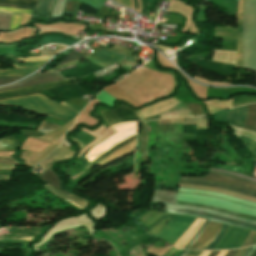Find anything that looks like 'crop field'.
Masks as SVG:
<instances>
[{"label":"crop field","mask_w":256,"mask_h":256,"mask_svg":"<svg viewBox=\"0 0 256 256\" xmlns=\"http://www.w3.org/2000/svg\"><path fill=\"white\" fill-rule=\"evenodd\" d=\"M165 212L210 219L231 226L256 231L255 217L238 214L207 205L176 201V205L166 204Z\"/></svg>","instance_id":"obj_1"},{"label":"crop field","mask_w":256,"mask_h":256,"mask_svg":"<svg viewBox=\"0 0 256 256\" xmlns=\"http://www.w3.org/2000/svg\"><path fill=\"white\" fill-rule=\"evenodd\" d=\"M0 104H13L24 106L44 113L48 116L64 120L66 122L73 118L75 115H77L69 109L57 105L58 103L56 104L39 94L0 100Z\"/></svg>","instance_id":"obj_2"},{"label":"crop field","mask_w":256,"mask_h":256,"mask_svg":"<svg viewBox=\"0 0 256 256\" xmlns=\"http://www.w3.org/2000/svg\"><path fill=\"white\" fill-rule=\"evenodd\" d=\"M172 215L167 214L157 225L148 231L152 236L160 229L166 219H170ZM194 217L184 215H173L171 220L166 223L154 236L162 238L171 245L179 238V236L192 224Z\"/></svg>","instance_id":"obj_3"},{"label":"crop field","mask_w":256,"mask_h":256,"mask_svg":"<svg viewBox=\"0 0 256 256\" xmlns=\"http://www.w3.org/2000/svg\"><path fill=\"white\" fill-rule=\"evenodd\" d=\"M176 200L208 204L215 207H219V208H223V209H227V210H231V211L256 217V208L243 206L240 204H236V203L229 202V201L222 200L215 197L191 195V194H184V193L178 192Z\"/></svg>","instance_id":"obj_4"},{"label":"crop field","mask_w":256,"mask_h":256,"mask_svg":"<svg viewBox=\"0 0 256 256\" xmlns=\"http://www.w3.org/2000/svg\"><path fill=\"white\" fill-rule=\"evenodd\" d=\"M183 179L199 180V181H213L218 183H223L227 185L236 186L239 188L247 189L256 192V183L236 179L233 177L216 174L209 172L205 177H192V176H181Z\"/></svg>","instance_id":"obj_5"},{"label":"crop field","mask_w":256,"mask_h":256,"mask_svg":"<svg viewBox=\"0 0 256 256\" xmlns=\"http://www.w3.org/2000/svg\"><path fill=\"white\" fill-rule=\"evenodd\" d=\"M101 114L108 125L125 121L140 120L135 111L130 110L124 104L115 110L103 111Z\"/></svg>","instance_id":"obj_6"},{"label":"crop field","mask_w":256,"mask_h":256,"mask_svg":"<svg viewBox=\"0 0 256 256\" xmlns=\"http://www.w3.org/2000/svg\"><path fill=\"white\" fill-rule=\"evenodd\" d=\"M73 84H76L75 79L67 80V81H57V82H53V83H49V84L24 87V88H19V89H14V90H8V91L0 92V98L7 97V96H17V95H21V94L33 93V92L50 89L53 87L73 85Z\"/></svg>","instance_id":"obj_7"},{"label":"crop field","mask_w":256,"mask_h":256,"mask_svg":"<svg viewBox=\"0 0 256 256\" xmlns=\"http://www.w3.org/2000/svg\"><path fill=\"white\" fill-rule=\"evenodd\" d=\"M57 80H63L62 77L58 75V73H40V74H34L30 76L29 78L13 85L1 87L0 90L5 89H11V88H18V87H24V86H30L45 82H51V81H57Z\"/></svg>","instance_id":"obj_8"},{"label":"crop field","mask_w":256,"mask_h":256,"mask_svg":"<svg viewBox=\"0 0 256 256\" xmlns=\"http://www.w3.org/2000/svg\"><path fill=\"white\" fill-rule=\"evenodd\" d=\"M220 226V223L209 221V223L204 228L202 233L198 236V238L191 244V246L188 249H205V247L217 233Z\"/></svg>","instance_id":"obj_9"},{"label":"crop field","mask_w":256,"mask_h":256,"mask_svg":"<svg viewBox=\"0 0 256 256\" xmlns=\"http://www.w3.org/2000/svg\"><path fill=\"white\" fill-rule=\"evenodd\" d=\"M178 102H180V101L177 100L176 98H171V99L156 103L152 106L143 108L141 110H137L136 113L138 114L140 119L150 117V116L157 115V114H160V113L168 110L169 108H171L173 105L177 104Z\"/></svg>","instance_id":"obj_10"},{"label":"crop field","mask_w":256,"mask_h":256,"mask_svg":"<svg viewBox=\"0 0 256 256\" xmlns=\"http://www.w3.org/2000/svg\"><path fill=\"white\" fill-rule=\"evenodd\" d=\"M96 57H100L104 60L111 61L114 63L120 62V61L124 60L125 58H127V56H124L122 54L104 51V50L98 51V52L90 55L89 57H87L90 62L100 65V66H103V67L111 65V63L102 61Z\"/></svg>","instance_id":"obj_11"},{"label":"crop field","mask_w":256,"mask_h":256,"mask_svg":"<svg viewBox=\"0 0 256 256\" xmlns=\"http://www.w3.org/2000/svg\"><path fill=\"white\" fill-rule=\"evenodd\" d=\"M204 219L196 218L193 224L181 235V237L175 242L174 247L183 249L193 235L198 231L201 225L204 223Z\"/></svg>","instance_id":"obj_12"},{"label":"crop field","mask_w":256,"mask_h":256,"mask_svg":"<svg viewBox=\"0 0 256 256\" xmlns=\"http://www.w3.org/2000/svg\"><path fill=\"white\" fill-rule=\"evenodd\" d=\"M242 229L229 226L226 233L214 249H230L241 233Z\"/></svg>","instance_id":"obj_13"},{"label":"crop field","mask_w":256,"mask_h":256,"mask_svg":"<svg viewBox=\"0 0 256 256\" xmlns=\"http://www.w3.org/2000/svg\"><path fill=\"white\" fill-rule=\"evenodd\" d=\"M246 111L247 105L229 109V114L225 122L242 128Z\"/></svg>","instance_id":"obj_14"},{"label":"crop field","mask_w":256,"mask_h":256,"mask_svg":"<svg viewBox=\"0 0 256 256\" xmlns=\"http://www.w3.org/2000/svg\"><path fill=\"white\" fill-rule=\"evenodd\" d=\"M45 187L47 190H49L50 192H52L54 195H56L57 197L59 198H62V199H65L66 201L70 202L71 204H73L74 206L80 208V209H83L84 207H86V203L87 201L79 198V197H76V196H73V195H65L61 192H59L58 190H56L55 188L51 187L50 185H45L43 186Z\"/></svg>","instance_id":"obj_15"},{"label":"crop field","mask_w":256,"mask_h":256,"mask_svg":"<svg viewBox=\"0 0 256 256\" xmlns=\"http://www.w3.org/2000/svg\"><path fill=\"white\" fill-rule=\"evenodd\" d=\"M179 183L213 186V187L227 189V190H231V191H235V192H239V193H243V194H247V195L256 197V193H252V192H249V191H246V190H242V189H239V188H235V187H231V186H227V185H223V184H218V183L197 182V181H188V180H182V179H180Z\"/></svg>","instance_id":"obj_16"},{"label":"crop field","mask_w":256,"mask_h":256,"mask_svg":"<svg viewBox=\"0 0 256 256\" xmlns=\"http://www.w3.org/2000/svg\"><path fill=\"white\" fill-rule=\"evenodd\" d=\"M243 1L244 0H240L239 10H238L239 31H238V37H237V67H239V68H241V66H242V49H241L242 23H241V14H242Z\"/></svg>","instance_id":"obj_17"},{"label":"crop field","mask_w":256,"mask_h":256,"mask_svg":"<svg viewBox=\"0 0 256 256\" xmlns=\"http://www.w3.org/2000/svg\"><path fill=\"white\" fill-rule=\"evenodd\" d=\"M52 167V166H51ZM48 168L46 171H44L42 174H40L39 177L42 181L50 184L51 186L55 187L56 189H59L60 186V180L58 179L57 175L53 172V170ZM61 191V190H60ZM63 192V191H62ZM65 193V192H64ZM68 194V193H66Z\"/></svg>","instance_id":"obj_18"},{"label":"crop field","mask_w":256,"mask_h":256,"mask_svg":"<svg viewBox=\"0 0 256 256\" xmlns=\"http://www.w3.org/2000/svg\"><path fill=\"white\" fill-rule=\"evenodd\" d=\"M176 192L156 190L152 202H175Z\"/></svg>","instance_id":"obj_19"},{"label":"crop field","mask_w":256,"mask_h":256,"mask_svg":"<svg viewBox=\"0 0 256 256\" xmlns=\"http://www.w3.org/2000/svg\"><path fill=\"white\" fill-rule=\"evenodd\" d=\"M244 128L256 131V104L248 105L247 118Z\"/></svg>","instance_id":"obj_20"},{"label":"crop field","mask_w":256,"mask_h":256,"mask_svg":"<svg viewBox=\"0 0 256 256\" xmlns=\"http://www.w3.org/2000/svg\"><path fill=\"white\" fill-rule=\"evenodd\" d=\"M178 191L192 192V193H199V194H210V195L218 196V197H221V198L237 201L241 204L256 206V203H253V202L245 201V200H242V199L234 198V197L223 195V194L208 192V191L189 190V189H181V188H178Z\"/></svg>","instance_id":"obj_21"},{"label":"crop field","mask_w":256,"mask_h":256,"mask_svg":"<svg viewBox=\"0 0 256 256\" xmlns=\"http://www.w3.org/2000/svg\"><path fill=\"white\" fill-rule=\"evenodd\" d=\"M64 158H69V157L56 149L49 157H47L45 160L40 162L39 165L44 171L56 161Z\"/></svg>","instance_id":"obj_22"},{"label":"crop field","mask_w":256,"mask_h":256,"mask_svg":"<svg viewBox=\"0 0 256 256\" xmlns=\"http://www.w3.org/2000/svg\"><path fill=\"white\" fill-rule=\"evenodd\" d=\"M18 149V141L13 136L0 139V151Z\"/></svg>","instance_id":"obj_23"},{"label":"crop field","mask_w":256,"mask_h":256,"mask_svg":"<svg viewBox=\"0 0 256 256\" xmlns=\"http://www.w3.org/2000/svg\"><path fill=\"white\" fill-rule=\"evenodd\" d=\"M187 124H196L197 129L207 128V118L206 116L183 118V125Z\"/></svg>","instance_id":"obj_24"},{"label":"crop field","mask_w":256,"mask_h":256,"mask_svg":"<svg viewBox=\"0 0 256 256\" xmlns=\"http://www.w3.org/2000/svg\"><path fill=\"white\" fill-rule=\"evenodd\" d=\"M77 41H79V40H67V39H64L61 37H57V36H48V37H43L38 45L49 44V43H64V44H67L70 46V45L76 43Z\"/></svg>","instance_id":"obj_25"},{"label":"crop field","mask_w":256,"mask_h":256,"mask_svg":"<svg viewBox=\"0 0 256 256\" xmlns=\"http://www.w3.org/2000/svg\"><path fill=\"white\" fill-rule=\"evenodd\" d=\"M35 69H25V70H3L0 71V76H18V75H27L33 72Z\"/></svg>","instance_id":"obj_26"},{"label":"crop field","mask_w":256,"mask_h":256,"mask_svg":"<svg viewBox=\"0 0 256 256\" xmlns=\"http://www.w3.org/2000/svg\"><path fill=\"white\" fill-rule=\"evenodd\" d=\"M36 0H0V4L21 5L33 7Z\"/></svg>","instance_id":"obj_27"},{"label":"crop field","mask_w":256,"mask_h":256,"mask_svg":"<svg viewBox=\"0 0 256 256\" xmlns=\"http://www.w3.org/2000/svg\"><path fill=\"white\" fill-rule=\"evenodd\" d=\"M256 102V97L251 96H239L233 99V107L246 104V103H253Z\"/></svg>","instance_id":"obj_28"},{"label":"crop field","mask_w":256,"mask_h":256,"mask_svg":"<svg viewBox=\"0 0 256 256\" xmlns=\"http://www.w3.org/2000/svg\"><path fill=\"white\" fill-rule=\"evenodd\" d=\"M95 98L100 100L102 103L107 104L109 106H113V102L116 101L113 97L107 94L105 91H101Z\"/></svg>","instance_id":"obj_29"},{"label":"crop field","mask_w":256,"mask_h":256,"mask_svg":"<svg viewBox=\"0 0 256 256\" xmlns=\"http://www.w3.org/2000/svg\"><path fill=\"white\" fill-rule=\"evenodd\" d=\"M228 228V225L222 224L221 228L219 229L218 233L215 235L214 239L211 241V243L207 246L206 249H213L214 246L218 243V241L223 236L224 232Z\"/></svg>","instance_id":"obj_30"},{"label":"crop field","mask_w":256,"mask_h":256,"mask_svg":"<svg viewBox=\"0 0 256 256\" xmlns=\"http://www.w3.org/2000/svg\"><path fill=\"white\" fill-rule=\"evenodd\" d=\"M59 127L60 126L56 124L43 121L42 124L38 127L37 131H40L42 133H47V132L58 129Z\"/></svg>","instance_id":"obj_31"},{"label":"crop field","mask_w":256,"mask_h":256,"mask_svg":"<svg viewBox=\"0 0 256 256\" xmlns=\"http://www.w3.org/2000/svg\"><path fill=\"white\" fill-rule=\"evenodd\" d=\"M12 15L0 14V31H8Z\"/></svg>","instance_id":"obj_32"},{"label":"crop field","mask_w":256,"mask_h":256,"mask_svg":"<svg viewBox=\"0 0 256 256\" xmlns=\"http://www.w3.org/2000/svg\"><path fill=\"white\" fill-rule=\"evenodd\" d=\"M50 1L51 0H39L36 4V7H35V10L38 8V5L41 3L40 7L38 8V13H41V14H44L46 15L47 14V11L49 9V5H50Z\"/></svg>","instance_id":"obj_33"},{"label":"crop field","mask_w":256,"mask_h":256,"mask_svg":"<svg viewBox=\"0 0 256 256\" xmlns=\"http://www.w3.org/2000/svg\"><path fill=\"white\" fill-rule=\"evenodd\" d=\"M81 54V53H80ZM74 51L70 52L59 64L57 65H60V64H65V63H69L71 61H74L76 59H79V58H82V57H85V56H82Z\"/></svg>","instance_id":"obj_34"},{"label":"crop field","mask_w":256,"mask_h":256,"mask_svg":"<svg viewBox=\"0 0 256 256\" xmlns=\"http://www.w3.org/2000/svg\"><path fill=\"white\" fill-rule=\"evenodd\" d=\"M248 233H249V230L243 229L242 233L240 234V236L238 237L236 243L233 245L232 248L240 247V245L242 244V242L244 241V239H245V237L247 236Z\"/></svg>","instance_id":"obj_35"},{"label":"crop field","mask_w":256,"mask_h":256,"mask_svg":"<svg viewBox=\"0 0 256 256\" xmlns=\"http://www.w3.org/2000/svg\"><path fill=\"white\" fill-rule=\"evenodd\" d=\"M80 1L99 9L105 0H80Z\"/></svg>","instance_id":"obj_36"},{"label":"crop field","mask_w":256,"mask_h":256,"mask_svg":"<svg viewBox=\"0 0 256 256\" xmlns=\"http://www.w3.org/2000/svg\"><path fill=\"white\" fill-rule=\"evenodd\" d=\"M24 76H19V77H0V85H3V84H8L12 81H15L19 78H22Z\"/></svg>","instance_id":"obj_37"},{"label":"crop field","mask_w":256,"mask_h":256,"mask_svg":"<svg viewBox=\"0 0 256 256\" xmlns=\"http://www.w3.org/2000/svg\"><path fill=\"white\" fill-rule=\"evenodd\" d=\"M45 62L40 63H30V64H13L14 68H21V67H34V66H42Z\"/></svg>","instance_id":"obj_38"},{"label":"crop field","mask_w":256,"mask_h":256,"mask_svg":"<svg viewBox=\"0 0 256 256\" xmlns=\"http://www.w3.org/2000/svg\"><path fill=\"white\" fill-rule=\"evenodd\" d=\"M0 164H18V163L10 157H0Z\"/></svg>","instance_id":"obj_39"},{"label":"crop field","mask_w":256,"mask_h":256,"mask_svg":"<svg viewBox=\"0 0 256 256\" xmlns=\"http://www.w3.org/2000/svg\"><path fill=\"white\" fill-rule=\"evenodd\" d=\"M208 220L205 221V223L202 225V227L199 229V231L194 235V237L189 241V243L185 246L184 249H187L188 246L193 242V240L198 236V234L201 232V230L204 228V226L207 224Z\"/></svg>","instance_id":"obj_40"},{"label":"crop field","mask_w":256,"mask_h":256,"mask_svg":"<svg viewBox=\"0 0 256 256\" xmlns=\"http://www.w3.org/2000/svg\"><path fill=\"white\" fill-rule=\"evenodd\" d=\"M255 248H256V246L248 247V249L242 256H250L253 253V251L255 250Z\"/></svg>","instance_id":"obj_41"},{"label":"crop field","mask_w":256,"mask_h":256,"mask_svg":"<svg viewBox=\"0 0 256 256\" xmlns=\"http://www.w3.org/2000/svg\"><path fill=\"white\" fill-rule=\"evenodd\" d=\"M202 251L190 250L187 256H198Z\"/></svg>","instance_id":"obj_42"},{"label":"crop field","mask_w":256,"mask_h":256,"mask_svg":"<svg viewBox=\"0 0 256 256\" xmlns=\"http://www.w3.org/2000/svg\"><path fill=\"white\" fill-rule=\"evenodd\" d=\"M60 104L64 105L65 107L69 108L70 110H72L73 112H75L77 114L80 113V111L76 110L75 108H73V107H71V106H69V105H67L63 102H61Z\"/></svg>","instance_id":"obj_43"},{"label":"crop field","mask_w":256,"mask_h":256,"mask_svg":"<svg viewBox=\"0 0 256 256\" xmlns=\"http://www.w3.org/2000/svg\"><path fill=\"white\" fill-rule=\"evenodd\" d=\"M0 169H14L13 165H0Z\"/></svg>","instance_id":"obj_44"},{"label":"crop field","mask_w":256,"mask_h":256,"mask_svg":"<svg viewBox=\"0 0 256 256\" xmlns=\"http://www.w3.org/2000/svg\"><path fill=\"white\" fill-rule=\"evenodd\" d=\"M9 177L10 176H0V182H2V181L8 182L9 181Z\"/></svg>","instance_id":"obj_45"},{"label":"crop field","mask_w":256,"mask_h":256,"mask_svg":"<svg viewBox=\"0 0 256 256\" xmlns=\"http://www.w3.org/2000/svg\"><path fill=\"white\" fill-rule=\"evenodd\" d=\"M237 250H229V252L225 256H233Z\"/></svg>","instance_id":"obj_46"},{"label":"crop field","mask_w":256,"mask_h":256,"mask_svg":"<svg viewBox=\"0 0 256 256\" xmlns=\"http://www.w3.org/2000/svg\"><path fill=\"white\" fill-rule=\"evenodd\" d=\"M1 7H18V8H28V9H32L29 7H21V6H10V5H0Z\"/></svg>","instance_id":"obj_47"},{"label":"crop field","mask_w":256,"mask_h":256,"mask_svg":"<svg viewBox=\"0 0 256 256\" xmlns=\"http://www.w3.org/2000/svg\"><path fill=\"white\" fill-rule=\"evenodd\" d=\"M227 252H228V250L220 251L217 256H224Z\"/></svg>","instance_id":"obj_48"},{"label":"crop field","mask_w":256,"mask_h":256,"mask_svg":"<svg viewBox=\"0 0 256 256\" xmlns=\"http://www.w3.org/2000/svg\"><path fill=\"white\" fill-rule=\"evenodd\" d=\"M219 251H211V253L208 256H216Z\"/></svg>","instance_id":"obj_49"},{"label":"crop field","mask_w":256,"mask_h":256,"mask_svg":"<svg viewBox=\"0 0 256 256\" xmlns=\"http://www.w3.org/2000/svg\"><path fill=\"white\" fill-rule=\"evenodd\" d=\"M210 251H203L199 256H207Z\"/></svg>","instance_id":"obj_50"},{"label":"crop field","mask_w":256,"mask_h":256,"mask_svg":"<svg viewBox=\"0 0 256 256\" xmlns=\"http://www.w3.org/2000/svg\"><path fill=\"white\" fill-rule=\"evenodd\" d=\"M117 2H119V3H121V4H123V5H126L125 4V0H116Z\"/></svg>","instance_id":"obj_51"},{"label":"crop field","mask_w":256,"mask_h":256,"mask_svg":"<svg viewBox=\"0 0 256 256\" xmlns=\"http://www.w3.org/2000/svg\"><path fill=\"white\" fill-rule=\"evenodd\" d=\"M189 252V250H186L182 256H186V254Z\"/></svg>","instance_id":"obj_52"},{"label":"crop field","mask_w":256,"mask_h":256,"mask_svg":"<svg viewBox=\"0 0 256 256\" xmlns=\"http://www.w3.org/2000/svg\"><path fill=\"white\" fill-rule=\"evenodd\" d=\"M126 2H127V6L130 7V2H129V0H126ZM130 8H131V7H130Z\"/></svg>","instance_id":"obj_53"},{"label":"crop field","mask_w":256,"mask_h":256,"mask_svg":"<svg viewBox=\"0 0 256 256\" xmlns=\"http://www.w3.org/2000/svg\"><path fill=\"white\" fill-rule=\"evenodd\" d=\"M252 244H256V237H255V239L253 240V242L251 243V245Z\"/></svg>","instance_id":"obj_54"},{"label":"crop field","mask_w":256,"mask_h":256,"mask_svg":"<svg viewBox=\"0 0 256 256\" xmlns=\"http://www.w3.org/2000/svg\"><path fill=\"white\" fill-rule=\"evenodd\" d=\"M251 256H256V250L254 251V253Z\"/></svg>","instance_id":"obj_55"},{"label":"crop field","mask_w":256,"mask_h":256,"mask_svg":"<svg viewBox=\"0 0 256 256\" xmlns=\"http://www.w3.org/2000/svg\"><path fill=\"white\" fill-rule=\"evenodd\" d=\"M183 252V251H182ZM182 252L179 254V256L182 254Z\"/></svg>","instance_id":"obj_56"}]
</instances>
